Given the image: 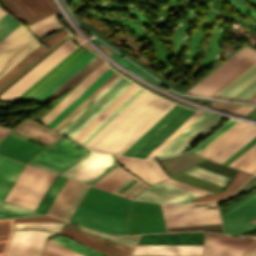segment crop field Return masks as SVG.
Instances as JSON below:
<instances>
[{"instance_id":"12","label":"crop field","mask_w":256,"mask_h":256,"mask_svg":"<svg viewBox=\"0 0 256 256\" xmlns=\"http://www.w3.org/2000/svg\"><path fill=\"white\" fill-rule=\"evenodd\" d=\"M69 221L89 229L109 234H125L127 224L126 221L80 205H78Z\"/></svg>"},{"instance_id":"52","label":"crop field","mask_w":256,"mask_h":256,"mask_svg":"<svg viewBox=\"0 0 256 256\" xmlns=\"http://www.w3.org/2000/svg\"><path fill=\"white\" fill-rule=\"evenodd\" d=\"M64 224L65 223H19V224H14V230L15 229H44V230H48L56 233Z\"/></svg>"},{"instance_id":"71","label":"crop field","mask_w":256,"mask_h":256,"mask_svg":"<svg viewBox=\"0 0 256 256\" xmlns=\"http://www.w3.org/2000/svg\"><path fill=\"white\" fill-rule=\"evenodd\" d=\"M252 256H256V250H255V252L253 253V255Z\"/></svg>"},{"instance_id":"63","label":"crop field","mask_w":256,"mask_h":256,"mask_svg":"<svg viewBox=\"0 0 256 256\" xmlns=\"http://www.w3.org/2000/svg\"><path fill=\"white\" fill-rule=\"evenodd\" d=\"M163 182H166V183H169V184H172V185L181 187V188H183V189H186V190H189V191H192V192L201 194V195L210 194V193H208V192H205V191H202V190H200V189H197V188H194V187H191V186L182 184V183H180V182H177V181H174V180H171V179L165 180V181H163Z\"/></svg>"},{"instance_id":"31","label":"crop field","mask_w":256,"mask_h":256,"mask_svg":"<svg viewBox=\"0 0 256 256\" xmlns=\"http://www.w3.org/2000/svg\"><path fill=\"white\" fill-rule=\"evenodd\" d=\"M182 109L183 107L176 105L172 110H170L161 120H159L150 130H148L139 140H137L123 154L132 156L137 150H139L150 138H152L164 125H166Z\"/></svg>"},{"instance_id":"55","label":"crop field","mask_w":256,"mask_h":256,"mask_svg":"<svg viewBox=\"0 0 256 256\" xmlns=\"http://www.w3.org/2000/svg\"><path fill=\"white\" fill-rule=\"evenodd\" d=\"M200 113L196 112L191 118H189L178 130H176L166 141H164L153 153L147 158L152 159L157 153H159L169 142H171L182 130H184L194 119H196Z\"/></svg>"},{"instance_id":"1","label":"crop field","mask_w":256,"mask_h":256,"mask_svg":"<svg viewBox=\"0 0 256 256\" xmlns=\"http://www.w3.org/2000/svg\"><path fill=\"white\" fill-rule=\"evenodd\" d=\"M174 106L144 91L84 146L122 154Z\"/></svg>"},{"instance_id":"73","label":"crop field","mask_w":256,"mask_h":256,"mask_svg":"<svg viewBox=\"0 0 256 256\" xmlns=\"http://www.w3.org/2000/svg\"><path fill=\"white\" fill-rule=\"evenodd\" d=\"M252 222L256 223V219H255V220H253Z\"/></svg>"},{"instance_id":"57","label":"crop field","mask_w":256,"mask_h":256,"mask_svg":"<svg viewBox=\"0 0 256 256\" xmlns=\"http://www.w3.org/2000/svg\"><path fill=\"white\" fill-rule=\"evenodd\" d=\"M204 246L246 249L248 244L205 240Z\"/></svg>"},{"instance_id":"56","label":"crop field","mask_w":256,"mask_h":256,"mask_svg":"<svg viewBox=\"0 0 256 256\" xmlns=\"http://www.w3.org/2000/svg\"><path fill=\"white\" fill-rule=\"evenodd\" d=\"M205 239L221 240V241H233V242H244V243H250V241L252 240V238H248V237L213 235V234H209V233H205Z\"/></svg>"},{"instance_id":"26","label":"crop field","mask_w":256,"mask_h":256,"mask_svg":"<svg viewBox=\"0 0 256 256\" xmlns=\"http://www.w3.org/2000/svg\"><path fill=\"white\" fill-rule=\"evenodd\" d=\"M202 246L137 245L132 254L201 255Z\"/></svg>"},{"instance_id":"34","label":"crop field","mask_w":256,"mask_h":256,"mask_svg":"<svg viewBox=\"0 0 256 256\" xmlns=\"http://www.w3.org/2000/svg\"><path fill=\"white\" fill-rule=\"evenodd\" d=\"M115 71L108 69L92 85H90L79 97H77L66 109H64L54 120L47 126L51 129L58 124L67 114H69L77 105H79L88 95H90L99 85H101Z\"/></svg>"},{"instance_id":"32","label":"crop field","mask_w":256,"mask_h":256,"mask_svg":"<svg viewBox=\"0 0 256 256\" xmlns=\"http://www.w3.org/2000/svg\"><path fill=\"white\" fill-rule=\"evenodd\" d=\"M60 233L71 236V237L79 240L80 242H82V243H84V244H86V245H88V246H90V247H92V248H94V249H96L100 252H103V253L107 254L108 256H121V255L127 256L128 255V254H126V253H124V252H122L118 249H115V248H113V247H111V246H109L105 243H102V242H100V241H98L94 238H91V237H89V236H87V235H85L81 232H78V231H76V230H74V229H72L68 226H66ZM94 241L103 245V246H105V247H107V248H109V249H111V250H113V251H115V252H117V253H119V254H121V255H119V254H117V253H115V252H113V251L95 243Z\"/></svg>"},{"instance_id":"9","label":"crop field","mask_w":256,"mask_h":256,"mask_svg":"<svg viewBox=\"0 0 256 256\" xmlns=\"http://www.w3.org/2000/svg\"><path fill=\"white\" fill-rule=\"evenodd\" d=\"M117 166L110 155L90 153L62 175L93 185Z\"/></svg>"},{"instance_id":"47","label":"crop field","mask_w":256,"mask_h":256,"mask_svg":"<svg viewBox=\"0 0 256 256\" xmlns=\"http://www.w3.org/2000/svg\"><path fill=\"white\" fill-rule=\"evenodd\" d=\"M43 256H82L52 240H48Z\"/></svg>"},{"instance_id":"46","label":"crop field","mask_w":256,"mask_h":256,"mask_svg":"<svg viewBox=\"0 0 256 256\" xmlns=\"http://www.w3.org/2000/svg\"><path fill=\"white\" fill-rule=\"evenodd\" d=\"M184 173H187V174H190V175H193V176H196V177H199V178H202V179H205V180H208V181H211V182L223 185V186L226 185V183L229 179V178H226L224 176L212 173L210 171L201 169V168L196 167V166L188 169Z\"/></svg>"},{"instance_id":"58","label":"crop field","mask_w":256,"mask_h":256,"mask_svg":"<svg viewBox=\"0 0 256 256\" xmlns=\"http://www.w3.org/2000/svg\"><path fill=\"white\" fill-rule=\"evenodd\" d=\"M144 160V159H143ZM144 162L147 164V166L151 169V171L155 174V176L158 178L159 181L164 180L166 178H169L164 171L160 168V166L156 163L155 160L149 161L144 160ZM153 174V175H154ZM156 178V179H157Z\"/></svg>"},{"instance_id":"22","label":"crop field","mask_w":256,"mask_h":256,"mask_svg":"<svg viewBox=\"0 0 256 256\" xmlns=\"http://www.w3.org/2000/svg\"><path fill=\"white\" fill-rule=\"evenodd\" d=\"M109 67L103 62L90 74H88L83 81L76 86L62 101H60L54 108H52L39 121L46 125L54 119L65 107H67L77 96H79L90 84H92L103 72Z\"/></svg>"},{"instance_id":"24","label":"crop field","mask_w":256,"mask_h":256,"mask_svg":"<svg viewBox=\"0 0 256 256\" xmlns=\"http://www.w3.org/2000/svg\"><path fill=\"white\" fill-rule=\"evenodd\" d=\"M98 55L93 52H89L82 59H80L77 63H75L71 68H69L66 72H64L60 77H58L54 82H52L49 86H47L43 91H41L38 95H36L30 101H44L50 95H52L56 90H58L61 86H63L66 82H68L72 77H74L77 73H79L82 69H84L88 64H90L94 59L97 58Z\"/></svg>"},{"instance_id":"6","label":"crop field","mask_w":256,"mask_h":256,"mask_svg":"<svg viewBox=\"0 0 256 256\" xmlns=\"http://www.w3.org/2000/svg\"><path fill=\"white\" fill-rule=\"evenodd\" d=\"M77 46L69 38L38 65L31 69L9 89L0 95V100H13ZM75 50V49H74ZM69 55V54H68Z\"/></svg>"},{"instance_id":"2","label":"crop field","mask_w":256,"mask_h":256,"mask_svg":"<svg viewBox=\"0 0 256 256\" xmlns=\"http://www.w3.org/2000/svg\"><path fill=\"white\" fill-rule=\"evenodd\" d=\"M55 174L25 166L6 202L35 210Z\"/></svg>"},{"instance_id":"60","label":"crop field","mask_w":256,"mask_h":256,"mask_svg":"<svg viewBox=\"0 0 256 256\" xmlns=\"http://www.w3.org/2000/svg\"><path fill=\"white\" fill-rule=\"evenodd\" d=\"M122 76H118L114 81H112L102 92H100L89 104H87L76 116H74L64 127H62L58 133H60L64 128H66L74 119H76L85 109H87L95 100H97L106 90H108L117 80H119Z\"/></svg>"},{"instance_id":"20","label":"crop field","mask_w":256,"mask_h":256,"mask_svg":"<svg viewBox=\"0 0 256 256\" xmlns=\"http://www.w3.org/2000/svg\"><path fill=\"white\" fill-rule=\"evenodd\" d=\"M194 113L195 111L184 108L133 156L146 158Z\"/></svg>"},{"instance_id":"11","label":"crop field","mask_w":256,"mask_h":256,"mask_svg":"<svg viewBox=\"0 0 256 256\" xmlns=\"http://www.w3.org/2000/svg\"><path fill=\"white\" fill-rule=\"evenodd\" d=\"M130 200L90 187L80 205L127 221Z\"/></svg>"},{"instance_id":"51","label":"crop field","mask_w":256,"mask_h":256,"mask_svg":"<svg viewBox=\"0 0 256 256\" xmlns=\"http://www.w3.org/2000/svg\"><path fill=\"white\" fill-rule=\"evenodd\" d=\"M95 60V59H94ZM101 62L97 59L93 61L90 65H88L84 70H82L79 74H77L74 78H72L68 83H66L63 87H61L58 91H56L52 96H50L45 101H50L53 98H55L57 95L77 83L79 80H81L85 75H87L91 70H93L97 65H99Z\"/></svg>"},{"instance_id":"45","label":"crop field","mask_w":256,"mask_h":256,"mask_svg":"<svg viewBox=\"0 0 256 256\" xmlns=\"http://www.w3.org/2000/svg\"><path fill=\"white\" fill-rule=\"evenodd\" d=\"M118 75L119 74L115 72L111 77H109L100 87H98L90 96H88L79 106H77L68 116H66L52 130L57 132L63 125H65L76 113H78L88 102H90L101 90H103Z\"/></svg>"},{"instance_id":"33","label":"crop field","mask_w":256,"mask_h":256,"mask_svg":"<svg viewBox=\"0 0 256 256\" xmlns=\"http://www.w3.org/2000/svg\"><path fill=\"white\" fill-rule=\"evenodd\" d=\"M114 156L126 169L138 175L149 184L158 182L156 177L153 175V173L146 166V164L143 162L142 159L117 156V155H114Z\"/></svg>"},{"instance_id":"8","label":"crop field","mask_w":256,"mask_h":256,"mask_svg":"<svg viewBox=\"0 0 256 256\" xmlns=\"http://www.w3.org/2000/svg\"><path fill=\"white\" fill-rule=\"evenodd\" d=\"M222 120L210 113L201 114L154 158L182 153Z\"/></svg>"},{"instance_id":"16","label":"crop field","mask_w":256,"mask_h":256,"mask_svg":"<svg viewBox=\"0 0 256 256\" xmlns=\"http://www.w3.org/2000/svg\"><path fill=\"white\" fill-rule=\"evenodd\" d=\"M87 187V185L67 179L47 214L68 220Z\"/></svg>"},{"instance_id":"39","label":"crop field","mask_w":256,"mask_h":256,"mask_svg":"<svg viewBox=\"0 0 256 256\" xmlns=\"http://www.w3.org/2000/svg\"><path fill=\"white\" fill-rule=\"evenodd\" d=\"M147 187L148 185L132 176L112 192L129 198H134Z\"/></svg>"},{"instance_id":"42","label":"crop field","mask_w":256,"mask_h":256,"mask_svg":"<svg viewBox=\"0 0 256 256\" xmlns=\"http://www.w3.org/2000/svg\"><path fill=\"white\" fill-rule=\"evenodd\" d=\"M250 176H251V174L239 171L236 174V176L234 177V179L232 180V182L229 185V187L225 191L217 193V194H214V195H210V196H207V197H204V198L194 199V200H192V202L213 200V199H217V198H220V197H224V196L230 195L239 186H241Z\"/></svg>"},{"instance_id":"72","label":"crop field","mask_w":256,"mask_h":256,"mask_svg":"<svg viewBox=\"0 0 256 256\" xmlns=\"http://www.w3.org/2000/svg\"><path fill=\"white\" fill-rule=\"evenodd\" d=\"M2 160H3V157H0V163L2 162Z\"/></svg>"},{"instance_id":"48","label":"crop field","mask_w":256,"mask_h":256,"mask_svg":"<svg viewBox=\"0 0 256 256\" xmlns=\"http://www.w3.org/2000/svg\"><path fill=\"white\" fill-rule=\"evenodd\" d=\"M0 208L9 210L7 211V210L0 209V218L39 214V213L30 211L21 207H17L2 201H0Z\"/></svg>"},{"instance_id":"65","label":"crop field","mask_w":256,"mask_h":256,"mask_svg":"<svg viewBox=\"0 0 256 256\" xmlns=\"http://www.w3.org/2000/svg\"><path fill=\"white\" fill-rule=\"evenodd\" d=\"M255 107L242 105L239 109L235 111V113L245 116Z\"/></svg>"},{"instance_id":"19","label":"crop field","mask_w":256,"mask_h":256,"mask_svg":"<svg viewBox=\"0 0 256 256\" xmlns=\"http://www.w3.org/2000/svg\"><path fill=\"white\" fill-rule=\"evenodd\" d=\"M44 149L34 143L7 135L0 143V155L27 163Z\"/></svg>"},{"instance_id":"17","label":"crop field","mask_w":256,"mask_h":256,"mask_svg":"<svg viewBox=\"0 0 256 256\" xmlns=\"http://www.w3.org/2000/svg\"><path fill=\"white\" fill-rule=\"evenodd\" d=\"M86 53H88V51L77 47L13 101H29Z\"/></svg>"},{"instance_id":"27","label":"crop field","mask_w":256,"mask_h":256,"mask_svg":"<svg viewBox=\"0 0 256 256\" xmlns=\"http://www.w3.org/2000/svg\"><path fill=\"white\" fill-rule=\"evenodd\" d=\"M37 221H61L48 216L26 217L0 220V256H5L12 232L13 223L37 222ZM65 222V221H63Z\"/></svg>"},{"instance_id":"74","label":"crop field","mask_w":256,"mask_h":256,"mask_svg":"<svg viewBox=\"0 0 256 256\" xmlns=\"http://www.w3.org/2000/svg\"><path fill=\"white\" fill-rule=\"evenodd\" d=\"M253 101H255V102H256V98H255Z\"/></svg>"},{"instance_id":"69","label":"crop field","mask_w":256,"mask_h":256,"mask_svg":"<svg viewBox=\"0 0 256 256\" xmlns=\"http://www.w3.org/2000/svg\"><path fill=\"white\" fill-rule=\"evenodd\" d=\"M6 13H4L1 9H0V18L5 15Z\"/></svg>"},{"instance_id":"4","label":"crop field","mask_w":256,"mask_h":256,"mask_svg":"<svg viewBox=\"0 0 256 256\" xmlns=\"http://www.w3.org/2000/svg\"><path fill=\"white\" fill-rule=\"evenodd\" d=\"M38 43L21 25L4 38L0 42V77L39 46Z\"/></svg>"},{"instance_id":"13","label":"crop field","mask_w":256,"mask_h":256,"mask_svg":"<svg viewBox=\"0 0 256 256\" xmlns=\"http://www.w3.org/2000/svg\"><path fill=\"white\" fill-rule=\"evenodd\" d=\"M0 3L25 25L53 12L57 17L61 15L52 0H0Z\"/></svg>"},{"instance_id":"3","label":"crop field","mask_w":256,"mask_h":256,"mask_svg":"<svg viewBox=\"0 0 256 256\" xmlns=\"http://www.w3.org/2000/svg\"><path fill=\"white\" fill-rule=\"evenodd\" d=\"M254 60L256 51L246 46L187 93L210 96Z\"/></svg>"},{"instance_id":"67","label":"crop field","mask_w":256,"mask_h":256,"mask_svg":"<svg viewBox=\"0 0 256 256\" xmlns=\"http://www.w3.org/2000/svg\"><path fill=\"white\" fill-rule=\"evenodd\" d=\"M255 248H256V239H254V241L252 242V244L250 245L249 249L247 250L244 256H251Z\"/></svg>"},{"instance_id":"66","label":"crop field","mask_w":256,"mask_h":256,"mask_svg":"<svg viewBox=\"0 0 256 256\" xmlns=\"http://www.w3.org/2000/svg\"><path fill=\"white\" fill-rule=\"evenodd\" d=\"M28 164L33 165V166H36V167H39V168H42V169H45V170H48V171H51V172H54V173H57V174H62V172H59V171H57V170L48 168V167H46V166L37 164V163L32 162V161L28 162Z\"/></svg>"},{"instance_id":"38","label":"crop field","mask_w":256,"mask_h":256,"mask_svg":"<svg viewBox=\"0 0 256 256\" xmlns=\"http://www.w3.org/2000/svg\"><path fill=\"white\" fill-rule=\"evenodd\" d=\"M130 176L132 175L125 172L118 166L109 174H107L104 178H102L100 181L94 184V186L111 191L119 184L124 182L126 179H128Z\"/></svg>"},{"instance_id":"10","label":"crop field","mask_w":256,"mask_h":256,"mask_svg":"<svg viewBox=\"0 0 256 256\" xmlns=\"http://www.w3.org/2000/svg\"><path fill=\"white\" fill-rule=\"evenodd\" d=\"M256 96V61L210 97L250 102Z\"/></svg>"},{"instance_id":"59","label":"crop field","mask_w":256,"mask_h":256,"mask_svg":"<svg viewBox=\"0 0 256 256\" xmlns=\"http://www.w3.org/2000/svg\"><path fill=\"white\" fill-rule=\"evenodd\" d=\"M255 153H256V144L252 148H250L248 151H246L244 154H242L239 158H237L235 161H233L231 164H229V166L237 168L246 160H248L251 156H253Z\"/></svg>"},{"instance_id":"28","label":"crop field","mask_w":256,"mask_h":256,"mask_svg":"<svg viewBox=\"0 0 256 256\" xmlns=\"http://www.w3.org/2000/svg\"><path fill=\"white\" fill-rule=\"evenodd\" d=\"M24 164L4 158L0 165V200H3Z\"/></svg>"},{"instance_id":"15","label":"crop field","mask_w":256,"mask_h":256,"mask_svg":"<svg viewBox=\"0 0 256 256\" xmlns=\"http://www.w3.org/2000/svg\"><path fill=\"white\" fill-rule=\"evenodd\" d=\"M51 234L41 230L14 231L6 256H41L45 239Z\"/></svg>"},{"instance_id":"23","label":"crop field","mask_w":256,"mask_h":256,"mask_svg":"<svg viewBox=\"0 0 256 256\" xmlns=\"http://www.w3.org/2000/svg\"><path fill=\"white\" fill-rule=\"evenodd\" d=\"M207 204H213V205L202 206V207H189V206L207 205ZM161 206H162L165 219L219 215L217 208L204 209V208L216 207V204L214 201L209 203H195V204H177V205L161 204Z\"/></svg>"},{"instance_id":"75","label":"crop field","mask_w":256,"mask_h":256,"mask_svg":"<svg viewBox=\"0 0 256 256\" xmlns=\"http://www.w3.org/2000/svg\"><path fill=\"white\" fill-rule=\"evenodd\" d=\"M164 256H167V255H164Z\"/></svg>"},{"instance_id":"7","label":"crop field","mask_w":256,"mask_h":256,"mask_svg":"<svg viewBox=\"0 0 256 256\" xmlns=\"http://www.w3.org/2000/svg\"><path fill=\"white\" fill-rule=\"evenodd\" d=\"M158 204L132 201L127 234L166 232Z\"/></svg>"},{"instance_id":"41","label":"crop field","mask_w":256,"mask_h":256,"mask_svg":"<svg viewBox=\"0 0 256 256\" xmlns=\"http://www.w3.org/2000/svg\"><path fill=\"white\" fill-rule=\"evenodd\" d=\"M61 26L57 20L55 15H51L31 26H29L30 30H32L35 34H37L40 38L56 31L61 28Z\"/></svg>"},{"instance_id":"5","label":"crop field","mask_w":256,"mask_h":256,"mask_svg":"<svg viewBox=\"0 0 256 256\" xmlns=\"http://www.w3.org/2000/svg\"><path fill=\"white\" fill-rule=\"evenodd\" d=\"M88 153L89 150L62 138L38 153L32 161L64 172Z\"/></svg>"},{"instance_id":"62","label":"crop field","mask_w":256,"mask_h":256,"mask_svg":"<svg viewBox=\"0 0 256 256\" xmlns=\"http://www.w3.org/2000/svg\"><path fill=\"white\" fill-rule=\"evenodd\" d=\"M234 121H231L226 126H224L222 129H220L218 132H216L214 135H212L209 139H207L205 142H203L201 145H199L194 150L190 151V153L196 154L199 152L202 148H204L207 144H209L212 140H214L217 136H219L222 132H224L227 128H229L232 124H234Z\"/></svg>"},{"instance_id":"29","label":"crop field","mask_w":256,"mask_h":256,"mask_svg":"<svg viewBox=\"0 0 256 256\" xmlns=\"http://www.w3.org/2000/svg\"><path fill=\"white\" fill-rule=\"evenodd\" d=\"M254 136H256V128L250 125L247 129H245L242 133L230 141L226 146H224L221 150L209 158V160L221 163L231 154L237 151L240 147H242L245 143L251 140Z\"/></svg>"},{"instance_id":"36","label":"crop field","mask_w":256,"mask_h":256,"mask_svg":"<svg viewBox=\"0 0 256 256\" xmlns=\"http://www.w3.org/2000/svg\"><path fill=\"white\" fill-rule=\"evenodd\" d=\"M46 50L47 48L40 45L33 52H31L27 57H25L22 61H20L16 66H14L10 71H8L5 75H3L0 78V88L3 87L7 82H9L13 77H15L19 72H21L25 67H27L31 62H33L37 57H39Z\"/></svg>"},{"instance_id":"37","label":"crop field","mask_w":256,"mask_h":256,"mask_svg":"<svg viewBox=\"0 0 256 256\" xmlns=\"http://www.w3.org/2000/svg\"><path fill=\"white\" fill-rule=\"evenodd\" d=\"M81 230H84V231L93 233V234H95V235H98V236L103 237V238H105V239H108V240H110V241H115V242L121 243V244H123V245L132 247V248H134V246H135V244H136V242H137V240H138V238H139V236H140V235H133V236H109V235H105V234H100V233L88 231V230H85V229H83V228H81ZM81 230H80V231H81ZM84 231H82V232H84ZM84 233H86V232H84ZM86 234H88V233H86ZM88 235L93 236V237H95V238H97V239H99V240H101V241H103V242H106V243H108V244H110V245H112V246H114V247H116V248H119V249H121V250H123V251H125V252H127V253H129V254H130L131 251H132V248H129V247H126V246H122V245H118V244L111 243V242H109V241H107V240H104V239H102V238H98V237H96V236H94V235H92V234H88Z\"/></svg>"},{"instance_id":"14","label":"crop field","mask_w":256,"mask_h":256,"mask_svg":"<svg viewBox=\"0 0 256 256\" xmlns=\"http://www.w3.org/2000/svg\"><path fill=\"white\" fill-rule=\"evenodd\" d=\"M131 83L122 77L61 134L72 139Z\"/></svg>"},{"instance_id":"30","label":"crop field","mask_w":256,"mask_h":256,"mask_svg":"<svg viewBox=\"0 0 256 256\" xmlns=\"http://www.w3.org/2000/svg\"><path fill=\"white\" fill-rule=\"evenodd\" d=\"M248 126L249 124L237 122L208 146L202 149L199 153H197V155L208 159Z\"/></svg>"},{"instance_id":"70","label":"crop field","mask_w":256,"mask_h":256,"mask_svg":"<svg viewBox=\"0 0 256 256\" xmlns=\"http://www.w3.org/2000/svg\"><path fill=\"white\" fill-rule=\"evenodd\" d=\"M198 101H202V100H198ZM202 102H205V103H208V104H211L212 102L210 101H202Z\"/></svg>"},{"instance_id":"40","label":"crop field","mask_w":256,"mask_h":256,"mask_svg":"<svg viewBox=\"0 0 256 256\" xmlns=\"http://www.w3.org/2000/svg\"><path fill=\"white\" fill-rule=\"evenodd\" d=\"M65 181H66V178L56 175L55 179L53 180L52 184L48 188L41 202L37 206L36 211L46 213V211L48 210L49 206L53 202L54 198L58 194L59 190L61 189Z\"/></svg>"},{"instance_id":"50","label":"crop field","mask_w":256,"mask_h":256,"mask_svg":"<svg viewBox=\"0 0 256 256\" xmlns=\"http://www.w3.org/2000/svg\"><path fill=\"white\" fill-rule=\"evenodd\" d=\"M225 233L238 234L251 231L256 228L254 224L222 219Z\"/></svg>"},{"instance_id":"44","label":"crop field","mask_w":256,"mask_h":256,"mask_svg":"<svg viewBox=\"0 0 256 256\" xmlns=\"http://www.w3.org/2000/svg\"><path fill=\"white\" fill-rule=\"evenodd\" d=\"M50 239L84 255V256H105L104 254L94 251L92 249H89L75 241H72L64 236H60V235H54L52 236Z\"/></svg>"},{"instance_id":"25","label":"crop field","mask_w":256,"mask_h":256,"mask_svg":"<svg viewBox=\"0 0 256 256\" xmlns=\"http://www.w3.org/2000/svg\"><path fill=\"white\" fill-rule=\"evenodd\" d=\"M139 87L131 84L124 90L111 104H109L95 119H93L80 133H78L72 140L80 142L86 137L97 125H99L109 114H111L122 102H124L134 91Z\"/></svg>"},{"instance_id":"18","label":"crop field","mask_w":256,"mask_h":256,"mask_svg":"<svg viewBox=\"0 0 256 256\" xmlns=\"http://www.w3.org/2000/svg\"><path fill=\"white\" fill-rule=\"evenodd\" d=\"M196 196L200 195L160 182L147 188L135 199L162 203H180L189 202Z\"/></svg>"},{"instance_id":"53","label":"crop field","mask_w":256,"mask_h":256,"mask_svg":"<svg viewBox=\"0 0 256 256\" xmlns=\"http://www.w3.org/2000/svg\"><path fill=\"white\" fill-rule=\"evenodd\" d=\"M243 250L204 247L203 256H240Z\"/></svg>"},{"instance_id":"68","label":"crop field","mask_w":256,"mask_h":256,"mask_svg":"<svg viewBox=\"0 0 256 256\" xmlns=\"http://www.w3.org/2000/svg\"><path fill=\"white\" fill-rule=\"evenodd\" d=\"M117 62H119L120 64H122V65H124V66H128L129 64L128 63H126L124 60H122L121 58L117 61ZM125 67V68H126Z\"/></svg>"},{"instance_id":"61","label":"crop field","mask_w":256,"mask_h":256,"mask_svg":"<svg viewBox=\"0 0 256 256\" xmlns=\"http://www.w3.org/2000/svg\"><path fill=\"white\" fill-rule=\"evenodd\" d=\"M67 34H69V33L67 32L66 29H64L60 32H57V33L43 39L42 41L44 43H46L48 46L52 47L54 44H56L59 40H61Z\"/></svg>"},{"instance_id":"43","label":"crop field","mask_w":256,"mask_h":256,"mask_svg":"<svg viewBox=\"0 0 256 256\" xmlns=\"http://www.w3.org/2000/svg\"><path fill=\"white\" fill-rule=\"evenodd\" d=\"M167 227L221 223L219 216L165 220Z\"/></svg>"},{"instance_id":"64","label":"crop field","mask_w":256,"mask_h":256,"mask_svg":"<svg viewBox=\"0 0 256 256\" xmlns=\"http://www.w3.org/2000/svg\"><path fill=\"white\" fill-rule=\"evenodd\" d=\"M238 169L255 173L256 172V154L251 157L248 161H246L244 164H242Z\"/></svg>"},{"instance_id":"54","label":"crop field","mask_w":256,"mask_h":256,"mask_svg":"<svg viewBox=\"0 0 256 256\" xmlns=\"http://www.w3.org/2000/svg\"><path fill=\"white\" fill-rule=\"evenodd\" d=\"M15 21L7 14L0 19V41L20 25Z\"/></svg>"},{"instance_id":"35","label":"crop field","mask_w":256,"mask_h":256,"mask_svg":"<svg viewBox=\"0 0 256 256\" xmlns=\"http://www.w3.org/2000/svg\"><path fill=\"white\" fill-rule=\"evenodd\" d=\"M225 218H231L250 222L256 218V194L225 214Z\"/></svg>"},{"instance_id":"49","label":"crop field","mask_w":256,"mask_h":256,"mask_svg":"<svg viewBox=\"0 0 256 256\" xmlns=\"http://www.w3.org/2000/svg\"><path fill=\"white\" fill-rule=\"evenodd\" d=\"M143 90L138 89L134 94H132L122 105H120L110 116H108L98 127H96L86 138H84L80 144L84 145L89 139H91L102 127H104L114 116H116L126 105H128L138 94Z\"/></svg>"},{"instance_id":"21","label":"crop field","mask_w":256,"mask_h":256,"mask_svg":"<svg viewBox=\"0 0 256 256\" xmlns=\"http://www.w3.org/2000/svg\"><path fill=\"white\" fill-rule=\"evenodd\" d=\"M203 233H167L142 235L138 244L202 245Z\"/></svg>"}]
</instances>
